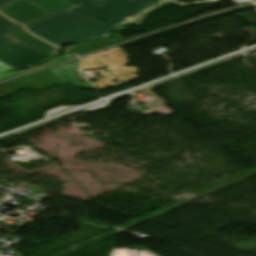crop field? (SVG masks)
<instances>
[{
	"instance_id": "1",
	"label": "crop field",
	"mask_w": 256,
	"mask_h": 256,
	"mask_svg": "<svg viewBox=\"0 0 256 256\" xmlns=\"http://www.w3.org/2000/svg\"><path fill=\"white\" fill-rule=\"evenodd\" d=\"M123 28V26L68 11L27 27L29 31L58 46L64 43L106 38L110 36L108 34L110 30H121Z\"/></svg>"
},
{
	"instance_id": "2",
	"label": "crop field",
	"mask_w": 256,
	"mask_h": 256,
	"mask_svg": "<svg viewBox=\"0 0 256 256\" xmlns=\"http://www.w3.org/2000/svg\"><path fill=\"white\" fill-rule=\"evenodd\" d=\"M75 6L89 0H65ZM172 0H92L68 11L119 25L140 24L147 12Z\"/></svg>"
},
{
	"instance_id": "3",
	"label": "crop field",
	"mask_w": 256,
	"mask_h": 256,
	"mask_svg": "<svg viewBox=\"0 0 256 256\" xmlns=\"http://www.w3.org/2000/svg\"><path fill=\"white\" fill-rule=\"evenodd\" d=\"M104 55H107L109 58H103ZM97 56H99V58H97ZM89 57L92 59L88 60L87 58ZM128 57L121 47H115L99 54L84 57V63L82 67L86 69L108 67L111 69L110 72L113 75L96 81L98 89L102 90L107 87L118 86L140 78L139 76L135 75L136 73L140 72L135 66L130 68L124 66V64L128 63L126 59ZM102 59H105L103 63H101ZM114 79L118 80L119 83H113L112 81Z\"/></svg>"
},
{
	"instance_id": "4",
	"label": "crop field",
	"mask_w": 256,
	"mask_h": 256,
	"mask_svg": "<svg viewBox=\"0 0 256 256\" xmlns=\"http://www.w3.org/2000/svg\"><path fill=\"white\" fill-rule=\"evenodd\" d=\"M51 58L8 35L0 38V61L16 68H24Z\"/></svg>"
},
{
	"instance_id": "5",
	"label": "crop field",
	"mask_w": 256,
	"mask_h": 256,
	"mask_svg": "<svg viewBox=\"0 0 256 256\" xmlns=\"http://www.w3.org/2000/svg\"><path fill=\"white\" fill-rule=\"evenodd\" d=\"M67 83L68 82L61 77L47 70L36 75L0 85V99L23 89L24 86H27L32 90H39L56 84L63 85Z\"/></svg>"
},
{
	"instance_id": "6",
	"label": "crop field",
	"mask_w": 256,
	"mask_h": 256,
	"mask_svg": "<svg viewBox=\"0 0 256 256\" xmlns=\"http://www.w3.org/2000/svg\"><path fill=\"white\" fill-rule=\"evenodd\" d=\"M0 12L25 26L47 16L49 13L39 9L26 0H16L0 7Z\"/></svg>"
},
{
	"instance_id": "7",
	"label": "crop field",
	"mask_w": 256,
	"mask_h": 256,
	"mask_svg": "<svg viewBox=\"0 0 256 256\" xmlns=\"http://www.w3.org/2000/svg\"><path fill=\"white\" fill-rule=\"evenodd\" d=\"M9 36H11L15 39H18L30 46H33V47L47 53L48 55H50L52 57H54L58 51V48L53 47V46L43 42L42 40L36 38L35 36L29 34L24 28L9 34Z\"/></svg>"
},
{
	"instance_id": "8",
	"label": "crop field",
	"mask_w": 256,
	"mask_h": 256,
	"mask_svg": "<svg viewBox=\"0 0 256 256\" xmlns=\"http://www.w3.org/2000/svg\"><path fill=\"white\" fill-rule=\"evenodd\" d=\"M79 65H80L79 60H77L68 64L55 67L50 71L58 74L59 76L67 80L69 83H74L78 86H81L87 89H94L93 85L87 82H83L75 76L76 71L79 69Z\"/></svg>"
},
{
	"instance_id": "9",
	"label": "crop field",
	"mask_w": 256,
	"mask_h": 256,
	"mask_svg": "<svg viewBox=\"0 0 256 256\" xmlns=\"http://www.w3.org/2000/svg\"><path fill=\"white\" fill-rule=\"evenodd\" d=\"M36 6L50 12L52 15L65 9L74 7L64 0H28Z\"/></svg>"
},
{
	"instance_id": "10",
	"label": "crop field",
	"mask_w": 256,
	"mask_h": 256,
	"mask_svg": "<svg viewBox=\"0 0 256 256\" xmlns=\"http://www.w3.org/2000/svg\"><path fill=\"white\" fill-rule=\"evenodd\" d=\"M121 40H124V38L121 36L120 32H117V33H115V37L110 39V40L87 42L85 44L75 46L74 49L78 53L82 54L84 52L94 50V49H97L99 47L106 46V45H109V44H112V43H115V42H118V41H121Z\"/></svg>"
},
{
	"instance_id": "11",
	"label": "crop field",
	"mask_w": 256,
	"mask_h": 256,
	"mask_svg": "<svg viewBox=\"0 0 256 256\" xmlns=\"http://www.w3.org/2000/svg\"><path fill=\"white\" fill-rule=\"evenodd\" d=\"M18 29V26L0 14V30L8 34Z\"/></svg>"
},
{
	"instance_id": "12",
	"label": "crop field",
	"mask_w": 256,
	"mask_h": 256,
	"mask_svg": "<svg viewBox=\"0 0 256 256\" xmlns=\"http://www.w3.org/2000/svg\"><path fill=\"white\" fill-rule=\"evenodd\" d=\"M65 55L62 56V57H59V58H56L55 60L49 62L48 64L46 65H49V64H53V63H56V62H59V61H63V60H66V59H69V58H73L71 55H69L68 53L64 52ZM44 65V66H46ZM43 67V66H41ZM39 68V67H38ZM36 69V68H34ZM33 70V69H31ZM29 71V70H28ZM23 72H26V71H18V72H13V73H8V74H4V75H0V80L2 79H5V78H8V77H11V76H14V75H17V74H20V73H23Z\"/></svg>"
},
{
	"instance_id": "13",
	"label": "crop field",
	"mask_w": 256,
	"mask_h": 256,
	"mask_svg": "<svg viewBox=\"0 0 256 256\" xmlns=\"http://www.w3.org/2000/svg\"><path fill=\"white\" fill-rule=\"evenodd\" d=\"M153 111H155L157 113H160V114H163L165 116H167V115H169L170 113L173 112V110H171L170 108H168V107H166V106H164L162 104L160 106L154 108L153 110H148L146 112H144V111L143 112L144 113H150V112H153Z\"/></svg>"
},
{
	"instance_id": "14",
	"label": "crop field",
	"mask_w": 256,
	"mask_h": 256,
	"mask_svg": "<svg viewBox=\"0 0 256 256\" xmlns=\"http://www.w3.org/2000/svg\"><path fill=\"white\" fill-rule=\"evenodd\" d=\"M7 70H16V69H14V68H12V67H10V66L2 63V62H0V73H3L5 71H7Z\"/></svg>"
},
{
	"instance_id": "15",
	"label": "crop field",
	"mask_w": 256,
	"mask_h": 256,
	"mask_svg": "<svg viewBox=\"0 0 256 256\" xmlns=\"http://www.w3.org/2000/svg\"><path fill=\"white\" fill-rule=\"evenodd\" d=\"M10 1H13V0H0V6L4 5V4H6V3L10 2Z\"/></svg>"
},
{
	"instance_id": "16",
	"label": "crop field",
	"mask_w": 256,
	"mask_h": 256,
	"mask_svg": "<svg viewBox=\"0 0 256 256\" xmlns=\"http://www.w3.org/2000/svg\"><path fill=\"white\" fill-rule=\"evenodd\" d=\"M3 35H5V34H4L3 32H1V31H0V37H1V36H3Z\"/></svg>"
}]
</instances>
